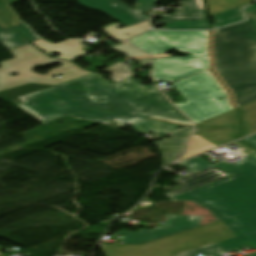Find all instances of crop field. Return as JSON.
I'll use <instances>...</instances> for the list:
<instances>
[{
	"mask_svg": "<svg viewBox=\"0 0 256 256\" xmlns=\"http://www.w3.org/2000/svg\"><path fill=\"white\" fill-rule=\"evenodd\" d=\"M232 144L246 159L233 164L223 160L214 165L233 177L170 198L193 201L227 225L237 238L220 242L221 251L240 250L243 243L256 248V151L240 141Z\"/></svg>",
	"mask_w": 256,
	"mask_h": 256,
	"instance_id": "obj_1",
	"label": "crop field"
},
{
	"mask_svg": "<svg viewBox=\"0 0 256 256\" xmlns=\"http://www.w3.org/2000/svg\"><path fill=\"white\" fill-rule=\"evenodd\" d=\"M59 86L89 105L119 114L192 124L158 89L146 88L131 78L111 86L96 73Z\"/></svg>",
	"mask_w": 256,
	"mask_h": 256,
	"instance_id": "obj_2",
	"label": "crop field"
},
{
	"mask_svg": "<svg viewBox=\"0 0 256 256\" xmlns=\"http://www.w3.org/2000/svg\"><path fill=\"white\" fill-rule=\"evenodd\" d=\"M248 20L213 31L214 71L236 107L256 100V10Z\"/></svg>",
	"mask_w": 256,
	"mask_h": 256,
	"instance_id": "obj_3",
	"label": "crop field"
},
{
	"mask_svg": "<svg viewBox=\"0 0 256 256\" xmlns=\"http://www.w3.org/2000/svg\"><path fill=\"white\" fill-rule=\"evenodd\" d=\"M62 89L60 87H52L19 97L23 102L19 106L43 124L66 115L76 119L92 120L103 124L115 120L126 125H131L146 119L129 116L121 117L90 108Z\"/></svg>",
	"mask_w": 256,
	"mask_h": 256,
	"instance_id": "obj_4",
	"label": "crop field"
},
{
	"mask_svg": "<svg viewBox=\"0 0 256 256\" xmlns=\"http://www.w3.org/2000/svg\"><path fill=\"white\" fill-rule=\"evenodd\" d=\"M172 85L187 100L176 106L196 124L234 109L230 95L211 71L179 80ZM218 98L223 100L217 101Z\"/></svg>",
	"mask_w": 256,
	"mask_h": 256,
	"instance_id": "obj_5",
	"label": "crop field"
},
{
	"mask_svg": "<svg viewBox=\"0 0 256 256\" xmlns=\"http://www.w3.org/2000/svg\"><path fill=\"white\" fill-rule=\"evenodd\" d=\"M178 235L163 238L143 246H100L104 249L114 250L111 256H171ZM233 237L235 236L222 221L213 223L181 233L176 254Z\"/></svg>",
	"mask_w": 256,
	"mask_h": 256,
	"instance_id": "obj_6",
	"label": "crop field"
},
{
	"mask_svg": "<svg viewBox=\"0 0 256 256\" xmlns=\"http://www.w3.org/2000/svg\"><path fill=\"white\" fill-rule=\"evenodd\" d=\"M10 53L14 58L0 62V91L81 69L71 62L49 58L30 43L14 49ZM52 63H63L64 65L50 70L45 75L32 72L35 66L49 65ZM13 73L17 75L10 76Z\"/></svg>",
	"mask_w": 256,
	"mask_h": 256,
	"instance_id": "obj_7",
	"label": "crop field"
},
{
	"mask_svg": "<svg viewBox=\"0 0 256 256\" xmlns=\"http://www.w3.org/2000/svg\"><path fill=\"white\" fill-rule=\"evenodd\" d=\"M130 42L150 55L165 54L159 47L176 48L194 54L209 47L210 31H150Z\"/></svg>",
	"mask_w": 256,
	"mask_h": 256,
	"instance_id": "obj_8",
	"label": "crop field"
},
{
	"mask_svg": "<svg viewBox=\"0 0 256 256\" xmlns=\"http://www.w3.org/2000/svg\"><path fill=\"white\" fill-rule=\"evenodd\" d=\"M211 67L209 48L188 57H170L154 59L152 78L154 81L169 82L182 77L208 70Z\"/></svg>",
	"mask_w": 256,
	"mask_h": 256,
	"instance_id": "obj_9",
	"label": "crop field"
},
{
	"mask_svg": "<svg viewBox=\"0 0 256 256\" xmlns=\"http://www.w3.org/2000/svg\"><path fill=\"white\" fill-rule=\"evenodd\" d=\"M86 8L100 10L125 26L134 25L148 20L142 13L153 8L155 0H137L135 10L119 0H77Z\"/></svg>",
	"mask_w": 256,
	"mask_h": 256,
	"instance_id": "obj_10",
	"label": "crop field"
},
{
	"mask_svg": "<svg viewBox=\"0 0 256 256\" xmlns=\"http://www.w3.org/2000/svg\"><path fill=\"white\" fill-rule=\"evenodd\" d=\"M195 134L220 146L236 140L241 135L240 120L237 110L234 109L196 125Z\"/></svg>",
	"mask_w": 256,
	"mask_h": 256,
	"instance_id": "obj_11",
	"label": "crop field"
},
{
	"mask_svg": "<svg viewBox=\"0 0 256 256\" xmlns=\"http://www.w3.org/2000/svg\"><path fill=\"white\" fill-rule=\"evenodd\" d=\"M201 217L167 215L165 228L135 232L119 231L114 235L123 236L120 244H143L156 238L165 237L173 233L196 227Z\"/></svg>",
	"mask_w": 256,
	"mask_h": 256,
	"instance_id": "obj_12",
	"label": "crop field"
},
{
	"mask_svg": "<svg viewBox=\"0 0 256 256\" xmlns=\"http://www.w3.org/2000/svg\"><path fill=\"white\" fill-rule=\"evenodd\" d=\"M229 176L230 175H228L227 173L213 166L190 176V178L180 177L175 179V181L182 187L177 188L173 192L167 193L166 196L171 197Z\"/></svg>",
	"mask_w": 256,
	"mask_h": 256,
	"instance_id": "obj_13",
	"label": "crop field"
},
{
	"mask_svg": "<svg viewBox=\"0 0 256 256\" xmlns=\"http://www.w3.org/2000/svg\"><path fill=\"white\" fill-rule=\"evenodd\" d=\"M193 130V127H188L184 130L172 134L171 138L163 139V141L160 142H155L158 149L163 154L162 167L170 164L182 154L186 140Z\"/></svg>",
	"mask_w": 256,
	"mask_h": 256,
	"instance_id": "obj_14",
	"label": "crop field"
},
{
	"mask_svg": "<svg viewBox=\"0 0 256 256\" xmlns=\"http://www.w3.org/2000/svg\"><path fill=\"white\" fill-rule=\"evenodd\" d=\"M179 5V11H175L174 15L159 16L163 18L160 22L166 24L173 21L208 20L204 0H182Z\"/></svg>",
	"mask_w": 256,
	"mask_h": 256,
	"instance_id": "obj_15",
	"label": "crop field"
},
{
	"mask_svg": "<svg viewBox=\"0 0 256 256\" xmlns=\"http://www.w3.org/2000/svg\"><path fill=\"white\" fill-rule=\"evenodd\" d=\"M176 124L147 119L142 122L131 125L137 134L153 132L154 134L161 132L163 135L178 130Z\"/></svg>",
	"mask_w": 256,
	"mask_h": 256,
	"instance_id": "obj_16",
	"label": "crop field"
},
{
	"mask_svg": "<svg viewBox=\"0 0 256 256\" xmlns=\"http://www.w3.org/2000/svg\"><path fill=\"white\" fill-rule=\"evenodd\" d=\"M24 37L18 34L12 28L2 29L0 27V44L8 51L28 43Z\"/></svg>",
	"mask_w": 256,
	"mask_h": 256,
	"instance_id": "obj_17",
	"label": "crop field"
},
{
	"mask_svg": "<svg viewBox=\"0 0 256 256\" xmlns=\"http://www.w3.org/2000/svg\"><path fill=\"white\" fill-rule=\"evenodd\" d=\"M49 87H52V86H43V85H34V84L23 85V86L1 91L0 98L6 101L14 97H19V96L26 95V94L39 91L45 88H49Z\"/></svg>",
	"mask_w": 256,
	"mask_h": 256,
	"instance_id": "obj_18",
	"label": "crop field"
},
{
	"mask_svg": "<svg viewBox=\"0 0 256 256\" xmlns=\"http://www.w3.org/2000/svg\"><path fill=\"white\" fill-rule=\"evenodd\" d=\"M214 147L217 146L194 134L189 142L188 150L185 156L182 157L180 160L204 152L206 150L212 149Z\"/></svg>",
	"mask_w": 256,
	"mask_h": 256,
	"instance_id": "obj_19",
	"label": "crop field"
},
{
	"mask_svg": "<svg viewBox=\"0 0 256 256\" xmlns=\"http://www.w3.org/2000/svg\"><path fill=\"white\" fill-rule=\"evenodd\" d=\"M19 0H0V15L12 26L19 24L21 17L9 5Z\"/></svg>",
	"mask_w": 256,
	"mask_h": 256,
	"instance_id": "obj_20",
	"label": "crop field"
},
{
	"mask_svg": "<svg viewBox=\"0 0 256 256\" xmlns=\"http://www.w3.org/2000/svg\"><path fill=\"white\" fill-rule=\"evenodd\" d=\"M105 70L112 74V77L110 78L115 82L137 75L136 73L132 72V69L122 62L117 63Z\"/></svg>",
	"mask_w": 256,
	"mask_h": 256,
	"instance_id": "obj_21",
	"label": "crop field"
},
{
	"mask_svg": "<svg viewBox=\"0 0 256 256\" xmlns=\"http://www.w3.org/2000/svg\"><path fill=\"white\" fill-rule=\"evenodd\" d=\"M163 29H209L208 21L173 22L166 24Z\"/></svg>",
	"mask_w": 256,
	"mask_h": 256,
	"instance_id": "obj_22",
	"label": "crop field"
},
{
	"mask_svg": "<svg viewBox=\"0 0 256 256\" xmlns=\"http://www.w3.org/2000/svg\"><path fill=\"white\" fill-rule=\"evenodd\" d=\"M199 253H202L203 256H210L211 254H213V256H221L218 243L209 245V246H205V247H201V248H197V249L187 251V252H184L181 254H177L176 256H196V254H199Z\"/></svg>",
	"mask_w": 256,
	"mask_h": 256,
	"instance_id": "obj_23",
	"label": "crop field"
},
{
	"mask_svg": "<svg viewBox=\"0 0 256 256\" xmlns=\"http://www.w3.org/2000/svg\"><path fill=\"white\" fill-rule=\"evenodd\" d=\"M180 165L184 166L185 168L189 169L190 171H192L194 173L213 166L212 163L206 161L205 159H203L199 156L196 158H193L191 160L182 162V163H180Z\"/></svg>",
	"mask_w": 256,
	"mask_h": 256,
	"instance_id": "obj_24",
	"label": "crop field"
},
{
	"mask_svg": "<svg viewBox=\"0 0 256 256\" xmlns=\"http://www.w3.org/2000/svg\"><path fill=\"white\" fill-rule=\"evenodd\" d=\"M254 2V1H253ZM252 3V2H250ZM250 3H247V4H244V5H241V6H238V7H235L233 9H230V10H227L225 12H222V13H219V14H216L214 16H212V20H213V23H218V22H221V21H224V20H227V19H230L232 17H235V16H238V15H241L239 9L245 5H248Z\"/></svg>",
	"mask_w": 256,
	"mask_h": 256,
	"instance_id": "obj_25",
	"label": "crop field"
},
{
	"mask_svg": "<svg viewBox=\"0 0 256 256\" xmlns=\"http://www.w3.org/2000/svg\"><path fill=\"white\" fill-rule=\"evenodd\" d=\"M21 35H23L30 42L40 39L30 27H28L24 22H20L19 26L14 27Z\"/></svg>",
	"mask_w": 256,
	"mask_h": 256,
	"instance_id": "obj_26",
	"label": "crop field"
},
{
	"mask_svg": "<svg viewBox=\"0 0 256 256\" xmlns=\"http://www.w3.org/2000/svg\"><path fill=\"white\" fill-rule=\"evenodd\" d=\"M118 51H120L121 53L127 55V56H130V57H135V56H143L145 55L144 53L138 51L137 49L129 46V45H120V46H115V47H112Z\"/></svg>",
	"mask_w": 256,
	"mask_h": 256,
	"instance_id": "obj_27",
	"label": "crop field"
},
{
	"mask_svg": "<svg viewBox=\"0 0 256 256\" xmlns=\"http://www.w3.org/2000/svg\"><path fill=\"white\" fill-rule=\"evenodd\" d=\"M243 19H244V15H241V16L232 18L230 20H227V21H224V22L212 25V26H213V28H218V27H221V26H225V25H228V24H231V23H235V22L241 21Z\"/></svg>",
	"mask_w": 256,
	"mask_h": 256,
	"instance_id": "obj_28",
	"label": "crop field"
},
{
	"mask_svg": "<svg viewBox=\"0 0 256 256\" xmlns=\"http://www.w3.org/2000/svg\"><path fill=\"white\" fill-rule=\"evenodd\" d=\"M242 141H244V142H246V143L252 145L254 148H256V135L251 136V137H249V138H246V139H244V140H242Z\"/></svg>",
	"mask_w": 256,
	"mask_h": 256,
	"instance_id": "obj_29",
	"label": "crop field"
},
{
	"mask_svg": "<svg viewBox=\"0 0 256 256\" xmlns=\"http://www.w3.org/2000/svg\"><path fill=\"white\" fill-rule=\"evenodd\" d=\"M137 61H138V63H140L143 66L151 64V60L150 59L137 60Z\"/></svg>",
	"mask_w": 256,
	"mask_h": 256,
	"instance_id": "obj_30",
	"label": "crop field"
},
{
	"mask_svg": "<svg viewBox=\"0 0 256 256\" xmlns=\"http://www.w3.org/2000/svg\"><path fill=\"white\" fill-rule=\"evenodd\" d=\"M255 9H256V3L247 7V8H245L244 11H245V13H247V12L255 10Z\"/></svg>",
	"mask_w": 256,
	"mask_h": 256,
	"instance_id": "obj_31",
	"label": "crop field"
},
{
	"mask_svg": "<svg viewBox=\"0 0 256 256\" xmlns=\"http://www.w3.org/2000/svg\"><path fill=\"white\" fill-rule=\"evenodd\" d=\"M0 26L2 28L10 27L1 17H0Z\"/></svg>",
	"mask_w": 256,
	"mask_h": 256,
	"instance_id": "obj_32",
	"label": "crop field"
},
{
	"mask_svg": "<svg viewBox=\"0 0 256 256\" xmlns=\"http://www.w3.org/2000/svg\"><path fill=\"white\" fill-rule=\"evenodd\" d=\"M159 49L163 50L164 52H168L167 48H159Z\"/></svg>",
	"mask_w": 256,
	"mask_h": 256,
	"instance_id": "obj_33",
	"label": "crop field"
},
{
	"mask_svg": "<svg viewBox=\"0 0 256 256\" xmlns=\"http://www.w3.org/2000/svg\"><path fill=\"white\" fill-rule=\"evenodd\" d=\"M212 1H215V0H208V3H209V2H212Z\"/></svg>",
	"mask_w": 256,
	"mask_h": 256,
	"instance_id": "obj_34",
	"label": "crop field"
}]
</instances>
